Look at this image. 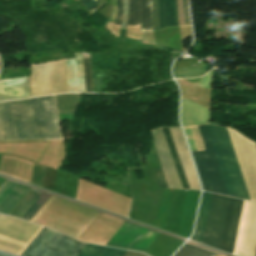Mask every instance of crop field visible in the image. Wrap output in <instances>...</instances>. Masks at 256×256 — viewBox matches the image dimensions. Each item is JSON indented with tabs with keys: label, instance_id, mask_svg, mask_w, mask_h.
Returning a JSON list of instances; mask_svg holds the SVG:
<instances>
[{
	"label": "crop field",
	"instance_id": "8a807250",
	"mask_svg": "<svg viewBox=\"0 0 256 256\" xmlns=\"http://www.w3.org/2000/svg\"><path fill=\"white\" fill-rule=\"evenodd\" d=\"M211 193L203 192L199 215L195 227V233L191 239L201 243L206 215ZM244 201L233 199L217 194L211 195L207 221L203 236V244L233 252L240 216ZM255 203L245 201L237 239L234 248V255L244 256L250 223ZM256 254V205L250 228L245 256Z\"/></svg>",
	"mask_w": 256,
	"mask_h": 256
},
{
	"label": "crop field",
	"instance_id": "ac0d7876",
	"mask_svg": "<svg viewBox=\"0 0 256 256\" xmlns=\"http://www.w3.org/2000/svg\"><path fill=\"white\" fill-rule=\"evenodd\" d=\"M206 126L227 194L251 200L227 129ZM206 126H197L206 150L192 152L202 187L205 191L227 195Z\"/></svg>",
	"mask_w": 256,
	"mask_h": 256
},
{
	"label": "crop field",
	"instance_id": "34b2d1b8",
	"mask_svg": "<svg viewBox=\"0 0 256 256\" xmlns=\"http://www.w3.org/2000/svg\"><path fill=\"white\" fill-rule=\"evenodd\" d=\"M26 102L32 139L62 138L53 96ZM26 102H0V140L31 139Z\"/></svg>",
	"mask_w": 256,
	"mask_h": 256
},
{
	"label": "crop field",
	"instance_id": "412701ff",
	"mask_svg": "<svg viewBox=\"0 0 256 256\" xmlns=\"http://www.w3.org/2000/svg\"><path fill=\"white\" fill-rule=\"evenodd\" d=\"M85 245L43 227L21 256H77Z\"/></svg>",
	"mask_w": 256,
	"mask_h": 256
},
{
	"label": "crop field",
	"instance_id": "f4fd0767",
	"mask_svg": "<svg viewBox=\"0 0 256 256\" xmlns=\"http://www.w3.org/2000/svg\"><path fill=\"white\" fill-rule=\"evenodd\" d=\"M45 95L68 92L65 60L42 64ZM41 64L31 65V96L44 95Z\"/></svg>",
	"mask_w": 256,
	"mask_h": 256
},
{
	"label": "crop field",
	"instance_id": "dd49c442",
	"mask_svg": "<svg viewBox=\"0 0 256 256\" xmlns=\"http://www.w3.org/2000/svg\"><path fill=\"white\" fill-rule=\"evenodd\" d=\"M42 227L0 215V250L20 255Z\"/></svg>",
	"mask_w": 256,
	"mask_h": 256
},
{
	"label": "crop field",
	"instance_id": "e52e79f7",
	"mask_svg": "<svg viewBox=\"0 0 256 256\" xmlns=\"http://www.w3.org/2000/svg\"><path fill=\"white\" fill-rule=\"evenodd\" d=\"M162 129H163L166 141L168 143V146H169L177 173L179 175L182 187L187 188V189H190V188L191 189H200L198 179H197V176L195 173V169H194L193 163L191 161L190 155L188 153V150H187L184 138H183V133H182L181 127H174V128H169V129H170L171 135L173 137L176 149L178 151V154H179L182 166L184 168L187 180L189 182L190 188H189L188 182L186 180L183 168L181 166V163H180L177 151L175 149L172 137L170 135L169 129L168 128H162Z\"/></svg>",
	"mask_w": 256,
	"mask_h": 256
},
{
	"label": "crop field",
	"instance_id": "d8731c3e",
	"mask_svg": "<svg viewBox=\"0 0 256 256\" xmlns=\"http://www.w3.org/2000/svg\"><path fill=\"white\" fill-rule=\"evenodd\" d=\"M232 139L251 199L256 201V144L227 128Z\"/></svg>",
	"mask_w": 256,
	"mask_h": 256
},
{
	"label": "crop field",
	"instance_id": "5a996713",
	"mask_svg": "<svg viewBox=\"0 0 256 256\" xmlns=\"http://www.w3.org/2000/svg\"><path fill=\"white\" fill-rule=\"evenodd\" d=\"M158 234L159 232L126 222L106 245L144 252Z\"/></svg>",
	"mask_w": 256,
	"mask_h": 256
},
{
	"label": "crop field",
	"instance_id": "3316defc",
	"mask_svg": "<svg viewBox=\"0 0 256 256\" xmlns=\"http://www.w3.org/2000/svg\"><path fill=\"white\" fill-rule=\"evenodd\" d=\"M151 132L169 187L182 188L162 129H155Z\"/></svg>",
	"mask_w": 256,
	"mask_h": 256
},
{
	"label": "crop field",
	"instance_id": "28ad6ade",
	"mask_svg": "<svg viewBox=\"0 0 256 256\" xmlns=\"http://www.w3.org/2000/svg\"><path fill=\"white\" fill-rule=\"evenodd\" d=\"M211 110L182 98L181 121L183 126L209 123Z\"/></svg>",
	"mask_w": 256,
	"mask_h": 256
},
{
	"label": "crop field",
	"instance_id": "d1516ede",
	"mask_svg": "<svg viewBox=\"0 0 256 256\" xmlns=\"http://www.w3.org/2000/svg\"><path fill=\"white\" fill-rule=\"evenodd\" d=\"M75 58L66 59L69 92H85L82 52H73Z\"/></svg>",
	"mask_w": 256,
	"mask_h": 256
},
{
	"label": "crop field",
	"instance_id": "22f410ed",
	"mask_svg": "<svg viewBox=\"0 0 256 256\" xmlns=\"http://www.w3.org/2000/svg\"><path fill=\"white\" fill-rule=\"evenodd\" d=\"M46 200L47 199L30 190L9 215L29 221Z\"/></svg>",
	"mask_w": 256,
	"mask_h": 256
},
{
	"label": "crop field",
	"instance_id": "cbeb9de0",
	"mask_svg": "<svg viewBox=\"0 0 256 256\" xmlns=\"http://www.w3.org/2000/svg\"><path fill=\"white\" fill-rule=\"evenodd\" d=\"M17 87L18 89L26 96L29 97V91H28V81L27 77L23 78H13L10 79ZM9 79L0 80V84L8 88L10 91L15 93L17 96L22 97L24 96L17 88L16 86L10 81ZM0 85V100H7V99H15L19 98L9 90H7L5 87ZM24 98V97H23Z\"/></svg>",
	"mask_w": 256,
	"mask_h": 256
},
{
	"label": "crop field",
	"instance_id": "5142ce71",
	"mask_svg": "<svg viewBox=\"0 0 256 256\" xmlns=\"http://www.w3.org/2000/svg\"><path fill=\"white\" fill-rule=\"evenodd\" d=\"M160 29L178 24L176 0H158Z\"/></svg>",
	"mask_w": 256,
	"mask_h": 256
},
{
	"label": "crop field",
	"instance_id": "d9b57169",
	"mask_svg": "<svg viewBox=\"0 0 256 256\" xmlns=\"http://www.w3.org/2000/svg\"><path fill=\"white\" fill-rule=\"evenodd\" d=\"M30 187L18 184L10 195L0 205V212L8 214L19 200L27 193Z\"/></svg>",
	"mask_w": 256,
	"mask_h": 256
},
{
	"label": "crop field",
	"instance_id": "733c2abd",
	"mask_svg": "<svg viewBox=\"0 0 256 256\" xmlns=\"http://www.w3.org/2000/svg\"><path fill=\"white\" fill-rule=\"evenodd\" d=\"M125 250L87 244L78 256H123Z\"/></svg>",
	"mask_w": 256,
	"mask_h": 256
},
{
	"label": "crop field",
	"instance_id": "4a817a6b",
	"mask_svg": "<svg viewBox=\"0 0 256 256\" xmlns=\"http://www.w3.org/2000/svg\"><path fill=\"white\" fill-rule=\"evenodd\" d=\"M72 94L55 95L57 111L66 114ZM80 94H73L67 114H73Z\"/></svg>",
	"mask_w": 256,
	"mask_h": 256
},
{
	"label": "crop field",
	"instance_id": "bc2a9ffb",
	"mask_svg": "<svg viewBox=\"0 0 256 256\" xmlns=\"http://www.w3.org/2000/svg\"><path fill=\"white\" fill-rule=\"evenodd\" d=\"M140 14H141V30L151 31L152 18H151V0H140Z\"/></svg>",
	"mask_w": 256,
	"mask_h": 256
},
{
	"label": "crop field",
	"instance_id": "214f88e0",
	"mask_svg": "<svg viewBox=\"0 0 256 256\" xmlns=\"http://www.w3.org/2000/svg\"><path fill=\"white\" fill-rule=\"evenodd\" d=\"M207 71H208V67H207V63L205 62L198 66L173 69L175 78L201 76L200 74H204Z\"/></svg>",
	"mask_w": 256,
	"mask_h": 256
},
{
	"label": "crop field",
	"instance_id": "92a150f3",
	"mask_svg": "<svg viewBox=\"0 0 256 256\" xmlns=\"http://www.w3.org/2000/svg\"><path fill=\"white\" fill-rule=\"evenodd\" d=\"M216 253L185 244L174 256H214Z\"/></svg>",
	"mask_w": 256,
	"mask_h": 256
},
{
	"label": "crop field",
	"instance_id": "dafd665d",
	"mask_svg": "<svg viewBox=\"0 0 256 256\" xmlns=\"http://www.w3.org/2000/svg\"><path fill=\"white\" fill-rule=\"evenodd\" d=\"M128 25H140L139 0H129Z\"/></svg>",
	"mask_w": 256,
	"mask_h": 256
},
{
	"label": "crop field",
	"instance_id": "00972430",
	"mask_svg": "<svg viewBox=\"0 0 256 256\" xmlns=\"http://www.w3.org/2000/svg\"><path fill=\"white\" fill-rule=\"evenodd\" d=\"M83 59H84V72H85L86 92H92L91 70H90V56H89V54L83 53Z\"/></svg>",
	"mask_w": 256,
	"mask_h": 256
},
{
	"label": "crop field",
	"instance_id": "a9b5d70f",
	"mask_svg": "<svg viewBox=\"0 0 256 256\" xmlns=\"http://www.w3.org/2000/svg\"><path fill=\"white\" fill-rule=\"evenodd\" d=\"M152 15H153V28L154 30H157L159 29L157 0H152Z\"/></svg>",
	"mask_w": 256,
	"mask_h": 256
},
{
	"label": "crop field",
	"instance_id": "4177f3b9",
	"mask_svg": "<svg viewBox=\"0 0 256 256\" xmlns=\"http://www.w3.org/2000/svg\"><path fill=\"white\" fill-rule=\"evenodd\" d=\"M185 133H186V138L188 140L191 150L192 151L198 150L195 140H194V137H193V134H192V131H191V128L190 127L185 128Z\"/></svg>",
	"mask_w": 256,
	"mask_h": 256
},
{
	"label": "crop field",
	"instance_id": "730fd06b",
	"mask_svg": "<svg viewBox=\"0 0 256 256\" xmlns=\"http://www.w3.org/2000/svg\"><path fill=\"white\" fill-rule=\"evenodd\" d=\"M154 170H155L156 178H157V181H158V185L161 186V187H167L168 188L162 169L157 168V169H154Z\"/></svg>",
	"mask_w": 256,
	"mask_h": 256
},
{
	"label": "crop field",
	"instance_id": "eef30255",
	"mask_svg": "<svg viewBox=\"0 0 256 256\" xmlns=\"http://www.w3.org/2000/svg\"><path fill=\"white\" fill-rule=\"evenodd\" d=\"M128 0H123V18L121 28H127Z\"/></svg>",
	"mask_w": 256,
	"mask_h": 256
},
{
	"label": "crop field",
	"instance_id": "ae1a2a85",
	"mask_svg": "<svg viewBox=\"0 0 256 256\" xmlns=\"http://www.w3.org/2000/svg\"><path fill=\"white\" fill-rule=\"evenodd\" d=\"M211 72H212V70L210 72H208L205 76L202 77V79L200 80L198 86L209 88Z\"/></svg>",
	"mask_w": 256,
	"mask_h": 256
},
{
	"label": "crop field",
	"instance_id": "d3111659",
	"mask_svg": "<svg viewBox=\"0 0 256 256\" xmlns=\"http://www.w3.org/2000/svg\"><path fill=\"white\" fill-rule=\"evenodd\" d=\"M191 128H192V131H193V134H194V137H195V140H196L198 149H199V150L205 149L204 146H203V143H202V141H201V138H200V136H199L197 127H196V126H193V127H191Z\"/></svg>",
	"mask_w": 256,
	"mask_h": 256
},
{
	"label": "crop field",
	"instance_id": "750c4746",
	"mask_svg": "<svg viewBox=\"0 0 256 256\" xmlns=\"http://www.w3.org/2000/svg\"><path fill=\"white\" fill-rule=\"evenodd\" d=\"M112 11L109 21L115 22L116 13H117V0H111Z\"/></svg>",
	"mask_w": 256,
	"mask_h": 256
},
{
	"label": "crop field",
	"instance_id": "bd1437ed",
	"mask_svg": "<svg viewBox=\"0 0 256 256\" xmlns=\"http://www.w3.org/2000/svg\"><path fill=\"white\" fill-rule=\"evenodd\" d=\"M122 0H118V13L115 24H121Z\"/></svg>",
	"mask_w": 256,
	"mask_h": 256
},
{
	"label": "crop field",
	"instance_id": "1d83c4d3",
	"mask_svg": "<svg viewBox=\"0 0 256 256\" xmlns=\"http://www.w3.org/2000/svg\"><path fill=\"white\" fill-rule=\"evenodd\" d=\"M124 256H147V255H145L143 253H139V252L127 251Z\"/></svg>",
	"mask_w": 256,
	"mask_h": 256
},
{
	"label": "crop field",
	"instance_id": "120bbe31",
	"mask_svg": "<svg viewBox=\"0 0 256 256\" xmlns=\"http://www.w3.org/2000/svg\"><path fill=\"white\" fill-rule=\"evenodd\" d=\"M200 79L201 78H191V79H185V80H187V81H189L191 83H195V82H199Z\"/></svg>",
	"mask_w": 256,
	"mask_h": 256
},
{
	"label": "crop field",
	"instance_id": "d32e631a",
	"mask_svg": "<svg viewBox=\"0 0 256 256\" xmlns=\"http://www.w3.org/2000/svg\"><path fill=\"white\" fill-rule=\"evenodd\" d=\"M0 256H12V255L5 254V253L0 252Z\"/></svg>",
	"mask_w": 256,
	"mask_h": 256
}]
</instances>
